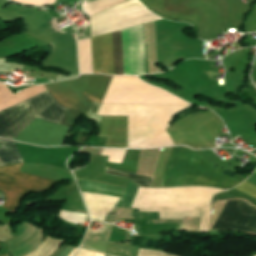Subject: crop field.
Instances as JSON below:
<instances>
[{
  "label": "crop field",
  "mask_w": 256,
  "mask_h": 256,
  "mask_svg": "<svg viewBox=\"0 0 256 256\" xmlns=\"http://www.w3.org/2000/svg\"><path fill=\"white\" fill-rule=\"evenodd\" d=\"M224 190L208 187L139 188L131 208L159 212L160 219L201 217L199 231H208L212 197Z\"/></svg>",
  "instance_id": "obj_1"
},
{
  "label": "crop field",
  "mask_w": 256,
  "mask_h": 256,
  "mask_svg": "<svg viewBox=\"0 0 256 256\" xmlns=\"http://www.w3.org/2000/svg\"><path fill=\"white\" fill-rule=\"evenodd\" d=\"M190 105L101 104L97 115H128V147L173 144L165 123Z\"/></svg>",
  "instance_id": "obj_2"
},
{
  "label": "crop field",
  "mask_w": 256,
  "mask_h": 256,
  "mask_svg": "<svg viewBox=\"0 0 256 256\" xmlns=\"http://www.w3.org/2000/svg\"><path fill=\"white\" fill-rule=\"evenodd\" d=\"M242 182L220 172L195 150L174 147L163 175L162 187L203 185L229 189Z\"/></svg>",
  "instance_id": "obj_3"
},
{
  "label": "crop field",
  "mask_w": 256,
  "mask_h": 256,
  "mask_svg": "<svg viewBox=\"0 0 256 256\" xmlns=\"http://www.w3.org/2000/svg\"><path fill=\"white\" fill-rule=\"evenodd\" d=\"M67 108L48 91L0 112V137L15 140L37 118L60 124Z\"/></svg>",
  "instance_id": "obj_4"
},
{
  "label": "crop field",
  "mask_w": 256,
  "mask_h": 256,
  "mask_svg": "<svg viewBox=\"0 0 256 256\" xmlns=\"http://www.w3.org/2000/svg\"><path fill=\"white\" fill-rule=\"evenodd\" d=\"M23 163L0 166V190H5L7 201L3 208L13 212L31 192L51 189L57 181L19 172Z\"/></svg>",
  "instance_id": "obj_5"
},
{
  "label": "crop field",
  "mask_w": 256,
  "mask_h": 256,
  "mask_svg": "<svg viewBox=\"0 0 256 256\" xmlns=\"http://www.w3.org/2000/svg\"><path fill=\"white\" fill-rule=\"evenodd\" d=\"M115 75H124L121 31L113 33ZM112 33L92 39L94 73L114 75Z\"/></svg>",
  "instance_id": "obj_6"
},
{
  "label": "crop field",
  "mask_w": 256,
  "mask_h": 256,
  "mask_svg": "<svg viewBox=\"0 0 256 256\" xmlns=\"http://www.w3.org/2000/svg\"><path fill=\"white\" fill-rule=\"evenodd\" d=\"M246 202H220L214 213L212 229L240 228L256 232V208Z\"/></svg>",
  "instance_id": "obj_7"
},
{
  "label": "crop field",
  "mask_w": 256,
  "mask_h": 256,
  "mask_svg": "<svg viewBox=\"0 0 256 256\" xmlns=\"http://www.w3.org/2000/svg\"><path fill=\"white\" fill-rule=\"evenodd\" d=\"M80 190L84 192L98 193L104 195L122 197L116 207L130 208L139 186L131 181L127 188L115 185L105 184L96 181L84 180L76 178Z\"/></svg>",
  "instance_id": "obj_8"
},
{
  "label": "crop field",
  "mask_w": 256,
  "mask_h": 256,
  "mask_svg": "<svg viewBox=\"0 0 256 256\" xmlns=\"http://www.w3.org/2000/svg\"><path fill=\"white\" fill-rule=\"evenodd\" d=\"M91 218L103 221L107 211L111 212L119 198L81 192Z\"/></svg>",
  "instance_id": "obj_9"
},
{
  "label": "crop field",
  "mask_w": 256,
  "mask_h": 256,
  "mask_svg": "<svg viewBox=\"0 0 256 256\" xmlns=\"http://www.w3.org/2000/svg\"><path fill=\"white\" fill-rule=\"evenodd\" d=\"M0 158L5 165L14 162H24L14 142L0 139Z\"/></svg>",
  "instance_id": "obj_10"
},
{
  "label": "crop field",
  "mask_w": 256,
  "mask_h": 256,
  "mask_svg": "<svg viewBox=\"0 0 256 256\" xmlns=\"http://www.w3.org/2000/svg\"><path fill=\"white\" fill-rule=\"evenodd\" d=\"M105 173L130 178V179H132L133 182H135L141 186H145V187H150L151 181H152V179H150V178L133 175V174L125 173V172H120V171H116V170H112V169H108V168H106Z\"/></svg>",
  "instance_id": "obj_11"
},
{
  "label": "crop field",
  "mask_w": 256,
  "mask_h": 256,
  "mask_svg": "<svg viewBox=\"0 0 256 256\" xmlns=\"http://www.w3.org/2000/svg\"><path fill=\"white\" fill-rule=\"evenodd\" d=\"M127 150L104 149L101 155L109 156L108 161L121 163Z\"/></svg>",
  "instance_id": "obj_12"
},
{
  "label": "crop field",
  "mask_w": 256,
  "mask_h": 256,
  "mask_svg": "<svg viewBox=\"0 0 256 256\" xmlns=\"http://www.w3.org/2000/svg\"><path fill=\"white\" fill-rule=\"evenodd\" d=\"M61 216L63 219L73 224H75L79 219L86 220L88 218V216L84 214H78V213H72V212H66V211H62Z\"/></svg>",
  "instance_id": "obj_13"
},
{
  "label": "crop field",
  "mask_w": 256,
  "mask_h": 256,
  "mask_svg": "<svg viewBox=\"0 0 256 256\" xmlns=\"http://www.w3.org/2000/svg\"><path fill=\"white\" fill-rule=\"evenodd\" d=\"M235 189L256 198V186L246 181L242 183L240 186L236 187Z\"/></svg>",
  "instance_id": "obj_14"
},
{
  "label": "crop field",
  "mask_w": 256,
  "mask_h": 256,
  "mask_svg": "<svg viewBox=\"0 0 256 256\" xmlns=\"http://www.w3.org/2000/svg\"><path fill=\"white\" fill-rule=\"evenodd\" d=\"M137 256H176V255L165 254V253L159 252V251L140 249Z\"/></svg>",
  "instance_id": "obj_15"
},
{
  "label": "crop field",
  "mask_w": 256,
  "mask_h": 256,
  "mask_svg": "<svg viewBox=\"0 0 256 256\" xmlns=\"http://www.w3.org/2000/svg\"><path fill=\"white\" fill-rule=\"evenodd\" d=\"M96 253L80 249L76 256H95Z\"/></svg>",
  "instance_id": "obj_16"
},
{
  "label": "crop field",
  "mask_w": 256,
  "mask_h": 256,
  "mask_svg": "<svg viewBox=\"0 0 256 256\" xmlns=\"http://www.w3.org/2000/svg\"><path fill=\"white\" fill-rule=\"evenodd\" d=\"M73 249V247L67 246L59 256H68Z\"/></svg>",
  "instance_id": "obj_17"
},
{
  "label": "crop field",
  "mask_w": 256,
  "mask_h": 256,
  "mask_svg": "<svg viewBox=\"0 0 256 256\" xmlns=\"http://www.w3.org/2000/svg\"><path fill=\"white\" fill-rule=\"evenodd\" d=\"M77 250H78V248H75V249L73 250V252H72L69 256H73Z\"/></svg>",
  "instance_id": "obj_18"
},
{
  "label": "crop field",
  "mask_w": 256,
  "mask_h": 256,
  "mask_svg": "<svg viewBox=\"0 0 256 256\" xmlns=\"http://www.w3.org/2000/svg\"><path fill=\"white\" fill-rule=\"evenodd\" d=\"M105 256H108V255H105Z\"/></svg>",
  "instance_id": "obj_19"
}]
</instances>
